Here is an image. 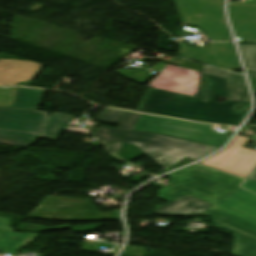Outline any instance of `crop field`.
Masks as SVG:
<instances>
[{
  "label": "crop field",
  "mask_w": 256,
  "mask_h": 256,
  "mask_svg": "<svg viewBox=\"0 0 256 256\" xmlns=\"http://www.w3.org/2000/svg\"><path fill=\"white\" fill-rule=\"evenodd\" d=\"M217 96L229 99L224 78L203 74L198 98L149 88L138 111L174 118L238 126L250 109L249 102L210 101ZM236 105L242 110L234 109Z\"/></svg>",
  "instance_id": "obj_1"
},
{
  "label": "crop field",
  "mask_w": 256,
  "mask_h": 256,
  "mask_svg": "<svg viewBox=\"0 0 256 256\" xmlns=\"http://www.w3.org/2000/svg\"><path fill=\"white\" fill-rule=\"evenodd\" d=\"M202 215L211 217L216 228L233 232V255L256 256V195L237 188Z\"/></svg>",
  "instance_id": "obj_2"
},
{
  "label": "crop field",
  "mask_w": 256,
  "mask_h": 256,
  "mask_svg": "<svg viewBox=\"0 0 256 256\" xmlns=\"http://www.w3.org/2000/svg\"><path fill=\"white\" fill-rule=\"evenodd\" d=\"M91 135L105 144L115 141L134 144L166 169L185 157L196 161L218 149L152 133L106 127L100 128Z\"/></svg>",
  "instance_id": "obj_3"
},
{
  "label": "crop field",
  "mask_w": 256,
  "mask_h": 256,
  "mask_svg": "<svg viewBox=\"0 0 256 256\" xmlns=\"http://www.w3.org/2000/svg\"><path fill=\"white\" fill-rule=\"evenodd\" d=\"M168 177L170 186L157 191V197L167 202L190 193L215 204L243 181L199 165H193Z\"/></svg>",
  "instance_id": "obj_4"
},
{
  "label": "crop field",
  "mask_w": 256,
  "mask_h": 256,
  "mask_svg": "<svg viewBox=\"0 0 256 256\" xmlns=\"http://www.w3.org/2000/svg\"><path fill=\"white\" fill-rule=\"evenodd\" d=\"M175 2L183 24H193L201 28L208 40H230L222 14L223 0H175Z\"/></svg>",
  "instance_id": "obj_5"
},
{
  "label": "crop field",
  "mask_w": 256,
  "mask_h": 256,
  "mask_svg": "<svg viewBox=\"0 0 256 256\" xmlns=\"http://www.w3.org/2000/svg\"><path fill=\"white\" fill-rule=\"evenodd\" d=\"M212 126L142 115L135 130L151 131L167 136L221 147L229 135L208 132Z\"/></svg>",
  "instance_id": "obj_6"
},
{
  "label": "crop field",
  "mask_w": 256,
  "mask_h": 256,
  "mask_svg": "<svg viewBox=\"0 0 256 256\" xmlns=\"http://www.w3.org/2000/svg\"><path fill=\"white\" fill-rule=\"evenodd\" d=\"M247 141L236 137L228 148L200 164L246 178L256 165V150L241 147Z\"/></svg>",
  "instance_id": "obj_7"
},
{
  "label": "crop field",
  "mask_w": 256,
  "mask_h": 256,
  "mask_svg": "<svg viewBox=\"0 0 256 256\" xmlns=\"http://www.w3.org/2000/svg\"><path fill=\"white\" fill-rule=\"evenodd\" d=\"M180 56L227 70L240 68L231 43H209L208 48H186L183 44Z\"/></svg>",
  "instance_id": "obj_8"
},
{
  "label": "crop field",
  "mask_w": 256,
  "mask_h": 256,
  "mask_svg": "<svg viewBox=\"0 0 256 256\" xmlns=\"http://www.w3.org/2000/svg\"><path fill=\"white\" fill-rule=\"evenodd\" d=\"M47 119L46 112L0 108V129L40 133Z\"/></svg>",
  "instance_id": "obj_9"
},
{
  "label": "crop field",
  "mask_w": 256,
  "mask_h": 256,
  "mask_svg": "<svg viewBox=\"0 0 256 256\" xmlns=\"http://www.w3.org/2000/svg\"><path fill=\"white\" fill-rule=\"evenodd\" d=\"M238 41H256V6H229Z\"/></svg>",
  "instance_id": "obj_10"
},
{
  "label": "crop field",
  "mask_w": 256,
  "mask_h": 256,
  "mask_svg": "<svg viewBox=\"0 0 256 256\" xmlns=\"http://www.w3.org/2000/svg\"><path fill=\"white\" fill-rule=\"evenodd\" d=\"M41 65L30 61L0 59V85L17 86L34 78Z\"/></svg>",
  "instance_id": "obj_11"
},
{
  "label": "crop field",
  "mask_w": 256,
  "mask_h": 256,
  "mask_svg": "<svg viewBox=\"0 0 256 256\" xmlns=\"http://www.w3.org/2000/svg\"><path fill=\"white\" fill-rule=\"evenodd\" d=\"M210 206H212V204L195 198L193 196L187 195L157 209L155 211V214L193 216L201 214Z\"/></svg>",
  "instance_id": "obj_12"
},
{
  "label": "crop field",
  "mask_w": 256,
  "mask_h": 256,
  "mask_svg": "<svg viewBox=\"0 0 256 256\" xmlns=\"http://www.w3.org/2000/svg\"><path fill=\"white\" fill-rule=\"evenodd\" d=\"M10 221L0 217V252L17 254L20 246L26 247L38 234L13 232L14 229L9 227Z\"/></svg>",
  "instance_id": "obj_13"
},
{
  "label": "crop field",
  "mask_w": 256,
  "mask_h": 256,
  "mask_svg": "<svg viewBox=\"0 0 256 256\" xmlns=\"http://www.w3.org/2000/svg\"><path fill=\"white\" fill-rule=\"evenodd\" d=\"M203 73L227 78L230 99L243 101L250 100L243 76L205 66Z\"/></svg>",
  "instance_id": "obj_14"
},
{
  "label": "crop field",
  "mask_w": 256,
  "mask_h": 256,
  "mask_svg": "<svg viewBox=\"0 0 256 256\" xmlns=\"http://www.w3.org/2000/svg\"><path fill=\"white\" fill-rule=\"evenodd\" d=\"M105 111V110H104ZM142 114L107 109L98 119L102 122L118 125L117 128L134 130Z\"/></svg>",
  "instance_id": "obj_15"
},
{
  "label": "crop field",
  "mask_w": 256,
  "mask_h": 256,
  "mask_svg": "<svg viewBox=\"0 0 256 256\" xmlns=\"http://www.w3.org/2000/svg\"><path fill=\"white\" fill-rule=\"evenodd\" d=\"M44 90L19 88L13 108L37 110Z\"/></svg>",
  "instance_id": "obj_16"
},
{
  "label": "crop field",
  "mask_w": 256,
  "mask_h": 256,
  "mask_svg": "<svg viewBox=\"0 0 256 256\" xmlns=\"http://www.w3.org/2000/svg\"><path fill=\"white\" fill-rule=\"evenodd\" d=\"M74 118V116L52 113L39 138L56 140L58 134L67 126L66 124Z\"/></svg>",
  "instance_id": "obj_17"
},
{
  "label": "crop field",
  "mask_w": 256,
  "mask_h": 256,
  "mask_svg": "<svg viewBox=\"0 0 256 256\" xmlns=\"http://www.w3.org/2000/svg\"><path fill=\"white\" fill-rule=\"evenodd\" d=\"M39 134L0 130V144L28 147Z\"/></svg>",
  "instance_id": "obj_18"
},
{
  "label": "crop field",
  "mask_w": 256,
  "mask_h": 256,
  "mask_svg": "<svg viewBox=\"0 0 256 256\" xmlns=\"http://www.w3.org/2000/svg\"><path fill=\"white\" fill-rule=\"evenodd\" d=\"M241 49L246 67L256 69V44L241 45Z\"/></svg>",
  "instance_id": "obj_19"
},
{
  "label": "crop field",
  "mask_w": 256,
  "mask_h": 256,
  "mask_svg": "<svg viewBox=\"0 0 256 256\" xmlns=\"http://www.w3.org/2000/svg\"><path fill=\"white\" fill-rule=\"evenodd\" d=\"M62 228H69V226L45 227V226H40V225H32V224L20 223L16 227L15 231L42 233L43 231L53 230V229H62Z\"/></svg>",
  "instance_id": "obj_20"
},
{
  "label": "crop field",
  "mask_w": 256,
  "mask_h": 256,
  "mask_svg": "<svg viewBox=\"0 0 256 256\" xmlns=\"http://www.w3.org/2000/svg\"><path fill=\"white\" fill-rule=\"evenodd\" d=\"M102 224H98V225H88V226H83V227H72V231L73 232H77V231H85V230H93V229H98L100 227H102Z\"/></svg>",
  "instance_id": "obj_21"
},
{
  "label": "crop field",
  "mask_w": 256,
  "mask_h": 256,
  "mask_svg": "<svg viewBox=\"0 0 256 256\" xmlns=\"http://www.w3.org/2000/svg\"><path fill=\"white\" fill-rule=\"evenodd\" d=\"M242 188L256 193V181L247 179L246 182L242 185Z\"/></svg>",
  "instance_id": "obj_22"
},
{
  "label": "crop field",
  "mask_w": 256,
  "mask_h": 256,
  "mask_svg": "<svg viewBox=\"0 0 256 256\" xmlns=\"http://www.w3.org/2000/svg\"><path fill=\"white\" fill-rule=\"evenodd\" d=\"M122 144L123 143L115 142V143H112V144H108L107 146L109 147V151L115 153L116 155H119Z\"/></svg>",
  "instance_id": "obj_23"
},
{
  "label": "crop field",
  "mask_w": 256,
  "mask_h": 256,
  "mask_svg": "<svg viewBox=\"0 0 256 256\" xmlns=\"http://www.w3.org/2000/svg\"><path fill=\"white\" fill-rule=\"evenodd\" d=\"M229 5H256V0H245V3L229 2Z\"/></svg>",
  "instance_id": "obj_24"
},
{
  "label": "crop field",
  "mask_w": 256,
  "mask_h": 256,
  "mask_svg": "<svg viewBox=\"0 0 256 256\" xmlns=\"http://www.w3.org/2000/svg\"><path fill=\"white\" fill-rule=\"evenodd\" d=\"M247 178L256 180V167L252 170V172L248 175Z\"/></svg>",
  "instance_id": "obj_25"
},
{
  "label": "crop field",
  "mask_w": 256,
  "mask_h": 256,
  "mask_svg": "<svg viewBox=\"0 0 256 256\" xmlns=\"http://www.w3.org/2000/svg\"><path fill=\"white\" fill-rule=\"evenodd\" d=\"M250 77H256V71L247 70Z\"/></svg>",
  "instance_id": "obj_26"
}]
</instances>
